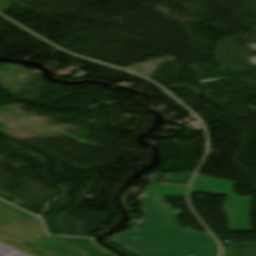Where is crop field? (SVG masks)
<instances>
[{"mask_svg":"<svg viewBox=\"0 0 256 256\" xmlns=\"http://www.w3.org/2000/svg\"><path fill=\"white\" fill-rule=\"evenodd\" d=\"M143 222L112 236L113 241L137 256H217L219 246L209 233L182 228L164 198L140 197ZM143 210V211H144ZM137 229V231H134Z\"/></svg>","mask_w":256,"mask_h":256,"instance_id":"obj_1","label":"crop field"},{"mask_svg":"<svg viewBox=\"0 0 256 256\" xmlns=\"http://www.w3.org/2000/svg\"><path fill=\"white\" fill-rule=\"evenodd\" d=\"M235 182L218 180L197 175L191 192L228 195L223 203V211L228 218L229 231H252L251 200L234 194Z\"/></svg>","mask_w":256,"mask_h":256,"instance_id":"obj_2","label":"crop field"},{"mask_svg":"<svg viewBox=\"0 0 256 256\" xmlns=\"http://www.w3.org/2000/svg\"><path fill=\"white\" fill-rule=\"evenodd\" d=\"M88 239L29 236L28 245L18 249L30 256H100L87 244Z\"/></svg>","mask_w":256,"mask_h":256,"instance_id":"obj_3","label":"crop field"},{"mask_svg":"<svg viewBox=\"0 0 256 256\" xmlns=\"http://www.w3.org/2000/svg\"><path fill=\"white\" fill-rule=\"evenodd\" d=\"M98 215V217H94ZM109 213L96 212L81 223L67 221L64 213L44 219L49 234L87 237L92 226L108 221Z\"/></svg>","mask_w":256,"mask_h":256,"instance_id":"obj_4","label":"crop field"},{"mask_svg":"<svg viewBox=\"0 0 256 256\" xmlns=\"http://www.w3.org/2000/svg\"><path fill=\"white\" fill-rule=\"evenodd\" d=\"M187 187L151 184L145 195L173 196L185 198Z\"/></svg>","mask_w":256,"mask_h":256,"instance_id":"obj_5","label":"crop field"}]
</instances>
